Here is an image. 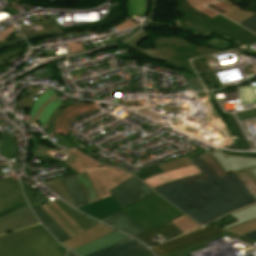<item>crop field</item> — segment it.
<instances>
[{
    "label": "crop field",
    "mask_w": 256,
    "mask_h": 256,
    "mask_svg": "<svg viewBox=\"0 0 256 256\" xmlns=\"http://www.w3.org/2000/svg\"><path fill=\"white\" fill-rule=\"evenodd\" d=\"M203 173L155 188L200 224L256 203L235 173L219 179L200 158L192 161ZM201 181L197 182L196 180Z\"/></svg>",
    "instance_id": "obj_1"
},
{
    "label": "crop field",
    "mask_w": 256,
    "mask_h": 256,
    "mask_svg": "<svg viewBox=\"0 0 256 256\" xmlns=\"http://www.w3.org/2000/svg\"><path fill=\"white\" fill-rule=\"evenodd\" d=\"M125 209L121 212L147 230L136 237L149 246L156 245L151 238L158 234L167 240L184 234L168 222L183 213L157 193Z\"/></svg>",
    "instance_id": "obj_2"
},
{
    "label": "crop field",
    "mask_w": 256,
    "mask_h": 256,
    "mask_svg": "<svg viewBox=\"0 0 256 256\" xmlns=\"http://www.w3.org/2000/svg\"><path fill=\"white\" fill-rule=\"evenodd\" d=\"M66 251L41 224L0 236V256H64Z\"/></svg>",
    "instance_id": "obj_3"
},
{
    "label": "crop field",
    "mask_w": 256,
    "mask_h": 256,
    "mask_svg": "<svg viewBox=\"0 0 256 256\" xmlns=\"http://www.w3.org/2000/svg\"><path fill=\"white\" fill-rule=\"evenodd\" d=\"M67 154L68 160L65 163L79 173L84 171L87 172L100 200L110 196L109 189L117 186V184L132 176L129 173L114 167L102 166L96 168L68 151Z\"/></svg>",
    "instance_id": "obj_4"
},
{
    "label": "crop field",
    "mask_w": 256,
    "mask_h": 256,
    "mask_svg": "<svg viewBox=\"0 0 256 256\" xmlns=\"http://www.w3.org/2000/svg\"><path fill=\"white\" fill-rule=\"evenodd\" d=\"M157 48L166 61V65L180 68L193 73L195 72L188 59L220 52L214 48L194 47L189 43H164L158 44Z\"/></svg>",
    "instance_id": "obj_5"
},
{
    "label": "crop field",
    "mask_w": 256,
    "mask_h": 256,
    "mask_svg": "<svg viewBox=\"0 0 256 256\" xmlns=\"http://www.w3.org/2000/svg\"><path fill=\"white\" fill-rule=\"evenodd\" d=\"M199 28L228 36L245 46L256 43V35L254 33L242 28L221 15L201 24Z\"/></svg>",
    "instance_id": "obj_6"
},
{
    "label": "crop field",
    "mask_w": 256,
    "mask_h": 256,
    "mask_svg": "<svg viewBox=\"0 0 256 256\" xmlns=\"http://www.w3.org/2000/svg\"><path fill=\"white\" fill-rule=\"evenodd\" d=\"M223 232H226V231L219 229L217 227H205L200 230H196L188 234H185L183 236H180L178 238H175L166 243L152 247L150 249L154 251L158 256H163L171 252H174L176 250H179L181 248L192 245L194 243L205 240L207 238L221 234Z\"/></svg>",
    "instance_id": "obj_7"
},
{
    "label": "crop field",
    "mask_w": 256,
    "mask_h": 256,
    "mask_svg": "<svg viewBox=\"0 0 256 256\" xmlns=\"http://www.w3.org/2000/svg\"><path fill=\"white\" fill-rule=\"evenodd\" d=\"M109 191L122 208L156 193L134 176Z\"/></svg>",
    "instance_id": "obj_8"
},
{
    "label": "crop field",
    "mask_w": 256,
    "mask_h": 256,
    "mask_svg": "<svg viewBox=\"0 0 256 256\" xmlns=\"http://www.w3.org/2000/svg\"><path fill=\"white\" fill-rule=\"evenodd\" d=\"M39 223L29 205H25L0 217V234Z\"/></svg>",
    "instance_id": "obj_9"
},
{
    "label": "crop field",
    "mask_w": 256,
    "mask_h": 256,
    "mask_svg": "<svg viewBox=\"0 0 256 256\" xmlns=\"http://www.w3.org/2000/svg\"><path fill=\"white\" fill-rule=\"evenodd\" d=\"M25 201L20 182L15 183L10 177L0 180V212Z\"/></svg>",
    "instance_id": "obj_10"
},
{
    "label": "crop field",
    "mask_w": 256,
    "mask_h": 256,
    "mask_svg": "<svg viewBox=\"0 0 256 256\" xmlns=\"http://www.w3.org/2000/svg\"><path fill=\"white\" fill-rule=\"evenodd\" d=\"M179 12L185 17L179 19L182 27L199 34L210 33L208 31L197 28L202 22L210 19V17L196 11L186 0H177Z\"/></svg>",
    "instance_id": "obj_11"
},
{
    "label": "crop field",
    "mask_w": 256,
    "mask_h": 256,
    "mask_svg": "<svg viewBox=\"0 0 256 256\" xmlns=\"http://www.w3.org/2000/svg\"><path fill=\"white\" fill-rule=\"evenodd\" d=\"M210 154L227 175L241 170L242 168L256 166V158L238 155L232 156L218 150L210 152Z\"/></svg>",
    "instance_id": "obj_12"
},
{
    "label": "crop field",
    "mask_w": 256,
    "mask_h": 256,
    "mask_svg": "<svg viewBox=\"0 0 256 256\" xmlns=\"http://www.w3.org/2000/svg\"><path fill=\"white\" fill-rule=\"evenodd\" d=\"M96 109H98V107L95 103L90 106L79 104L64 109L56 120L55 133L67 134L69 125L75 117Z\"/></svg>",
    "instance_id": "obj_13"
},
{
    "label": "crop field",
    "mask_w": 256,
    "mask_h": 256,
    "mask_svg": "<svg viewBox=\"0 0 256 256\" xmlns=\"http://www.w3.org/2000/svg\"><path fill=\"white\" fill-rule=\"evenodd\" d=\"M144 249V245L129 238L87 256H130Z\"/></svg>",
    "instance_id": "obj_14"
},
{
    "label": "crop field",
    "mask_w": 256,
    "mask_h": 256,
    "mask_svg": "<svg viewBox=\"0 0 256 256\" xmlns=\"http://www.w3.org/2000/svg\"><path fill=\"white\" fill-rule=\"evenodd\" d=\"M100 220L120 211L123 210L110 196L106 199L101 201H97L92 204L85 205L81 208H78Z\"/></svg>",
    "instance_id": "obj_15"
},
{
    "label": "crop field",
    "mask_w": 256,
    "mask_h": 256,
    "mask_svg": "<svg viewBox=\"0 0 256 256\" xmlns=\"http://www.w3.org/2000/svg\"><path fill=\"white\" fill-rule=\"evenodd\" d=\"M113 231L114 230L99 223L94 227L90 228L89 230L71 238L70 240L62 244L73 250Z\"/></svg>",
    "instance_id": "obj_16"
},
{
    "label": "crop field",
    "mask_w": 256,
    "mask_h": 256,
    "mask_svg": "<svg viewBox=\"0 0 256 256\" xmlns=\"http://www.w3.org/2000/svg\"><path fill=\"white\" fill-rule=\"evenodd\" d=\"M201 173V171L195 166H189L177 170L168 171L166 173L157 174L149 179L143 180L152 188L167 183L169 181L184 178L186 176Z\"/></svg>",
    "instance_id": "obj_17"
},
{
    "label": "crop field",
    "mask_w": 256,
    "mask_h": 256,
    "mask_svg": "<svg viewBox=\"0 0 256 256\" xmlns=\"http://www.w3.org/2000/svg\"><path fill=\"white\" fill-rule=\"evenodd\" d=\"M147 35H148L147 33H145L144 31H141L137 36L133 37L130 41L126 42L125 44L130 46L131 48L135 49L136 51L140 52L141 54H143L144 56H146L148 58H152V59L162 61V62H165L166 60L163 59L159 55V53L156 49V44L164 43V42H187L183 39H178V38H174V37H161L154 41L155 50L136 47L140 41H142L143 39H145L147 37Z\"/></svg>",
    "instance_id": "obj_18"
},
{
    "label": "crop field",
    "mask_w": 256,
    "mask_h": 256,
    "mask_svg": "<svg viewBox=\"0 0 256 256\" xmlns=\"http://www.w3.org/2000/svg\"><path fill=\"white\" fill-rule=\"evenodd\" d=\"M127 238L129 237L115 231L107 236H104L96 241H93L73 251L79 256H84Z\"/></svg>",
    "instance_id": "obj_19"
},
{
    "label": "crop field",
    "mask_w": 256,
    "mask_h": 256,
    "mask_svg": "<svg viewBox=\"0 0 256 256\" xmlns=\"http://www.w3.org/2000/svg\"><path fill=\"white\" fill-rule=\"evenodd\" d=\"M102 222L122 230L132 236L145 231L121 212L103 220Z\"/></svg>",
    "instance_id": "obj_20"
},
{
    "label": "crop field",
    "mask_w": 256,
    "mask_h": 256,
    "mask_svg": "<svg viewBox=\"0 0 256 256\" xmlns=\"http://www.w3.org/2000/svg\"><path fill=\"white\" fill-rule=\"evenodd\" d=\"M39 221L54 235L61 243L69 239L68 235L50 218V216L39 206L33 209Z\"/></svg>",
    "instance_id": "obj_21"
},
{
    "label": "crop field",
    "mask_w": 256,
    "mask_h": 256,
    "mask_svg": "<svg viewBox=\"0 0 256 256\" xmlns=\"http://www.w3.org/2000/svg\"><path fill=\"white\" fill-rule=\"evenodd\" d=\"M120 15H121L120 7L112 6L108 15L100 21H96V22L88 23V24L70 26V27H63L62 29L65 32V31L71 30L73 28H89V29L103 28V27H106V26L112 24L113 22L119 20Z\"/></svg>",
    "instance_id": "obj_22"
},
{
    "label": "crop field",
    "mask_w": 256,
    "mask_h": 256,
    "mask_svg": "<svg viewBox=\"0 0 256 256\" xmlns=\"http://www.w3.org/2000/svg\"><path fill=\"white\" fill-rule=\"evenodd\" d=\"M62 180L77 207L88 203L74 175L63 177Z\"/></svg>",
    "instance_id": "obj_23"
},
{
    "label": "crop field",
    "mask_w": 256,
    "mask_h": 256,
    "mask_svg": "<svg viewBox=\"0 0 256 256\" xmlns=\"http://www.w3.org/2000/svg\"><path fill=\"white\" fill-rule=\"evenodd\" d=\"M55 202L85 231L94 226L98 222L91 220L90 218L79 214L74 209L57 199Z\"/></svg>",
    "instance_id": "obj_24"
},
{
    "label": "crop field",
    "mask_w": 256,
    "mask_h": 256,
    "mask_svg": "<svg viewBox=\"0 0 256 256\" xmlns=\"http://www.w3.org/2000/svg\"><path fill=\"white\" fill-rule=\"evenodd\" d=\"M230 215L237 221L222 227L223 229H227L241 223L256 219V204L237 210Z\"/></svg>",
    "instance_id": "obj_25"
},
{
    "label": "crop field",
    "mask_w": 256,
    "mask_h": 256,
    "mask_svg": "<svg viewBox=\"0 0 256 256\" xmlns=\"http://www.w3.org/2000/svg\"><path fill=\"white\" fill-rule=\"evenodd\" d=\"M222 2H224L225 4L232 7L231 9H229L228 11H226L222 14L227 16L228 18L232 19L233 21H235L237 23H239V22L247 19L248 17L256 14L254 12H250V11H246V10H242V9L238 8L236 5H234L229 0H224Z\"/></svg>",
    "instance_id": "obj_26"
},
{
    "label": "crop field",
    "mask_w": 256,
    "mask_h": 256,
    "mask_svg": "<svg viewBox=\"0 0 256 256\" xmlns=\"http://www.w3.org/2000/svg\"><path fill=\"white\" fill-rule=\"evenodd\" d=\"M75 176H76L88 202L92 203V202L99 200L86 173L84 172L81 174H76Z\"/></svg>",
    "instance_id": "obj_27"
},
{
    "label": "crop field",
    "mask_w": 256,
    "mask_h": 256,
    "mask_svg": "<svg viewBox=\"0 0 256 256\" xmlns=\"http://www.w3.org/2000/svg\"><path fill=\"white\" fill-rule=\"evenodd\" d=\"M0 138L3 144L1 156L7 159L16 158L18 145L14 138H10L7 135H2Z\"/></svg>",
    "instance_id": "obj_28"
},
{
    "label": "crop field",
    "mask_w": 256,
    "mask_h": 256,
    "mask_svg": "<svg viewBox=\"0 0 256 256\" xmlns=\"http://www.w3.org/2000/svg\"><path fill=\"white\" fill-rule=\"evenodd\" d=\"M44 145V144H43ZM41 145L37 140H34L33 141V144H32V150H31V157L32 158H35V157H40V156H49L51 158L54 157L55 153L58 152V153H61L63 155H66L65 152H62L60 149L61 147L57 146V148L60 150H56V149H49L45 146ZM55 159V158H54ZM63 162V161H62Z\"/></svg>",
    "instance_id": "obj_29"
},
{
    "label": "crop field",
    "mask_w": 256,
    "mask_h": 256,
    "mask_svg": "<svg viewBox=\"0 0 256 256\" xmlns=\"http://www.w3.org/2000/svg\"><path fill=\"white\" fill-rule=\"evenodd\" d=\"M174 226H176L178 229L183 231L184 233L194 230L196 228H200L202 226L198 225L195 221L188 218L185 214L169 221Z\"/></svg>",
    "instance_id": "obj_30"
},
{
    "label": "crop field",
    "mask_w": 256,
    "mask_h": 256,
    "mask_svg": "<svg viewBox=\"0 0 256 256\" xmlns=\"http://www.w3.org/2000/svg\"><path fill=\"white\" fill-rule=\"evenodd\" d=\"M45 184L54 192H56L58 195H60L62 198H64L67 202L71 203L76 207L74 201L72 200L70 194L68 193L66 187L63 185L60 178L48 181Z\"/></svg>",
    "instance_id": "obj_31"
},
{
    "label": "crop field",
    "mask_w": 256,
    "mask_h": 256,
    "mask_svg": "<svg viewBox=\"0 0 256 256\" xmlns=\"http://www.w3.org/2000/svg\"><path fill=\"white\" fill-rule=\"evenodd\" d=\"M54 94L55 90L48 88L40 97L37 98L36 102L32 105L29 116H31L35 120L38 109Z\"/></svg>",
    "instance_id": "obj_32"
},
{
    "label": "crop field",
    "mask_w": 256,
    "mask_h": 256,
    "mask_svg": "<svg viewBox=\"0 0 256 256\" xmlns=\"http://www.w3.org/2000/svg\"><path fill=\"white\" fill-rule=\"evenodd\" d=\"M229 234H231V233L226 232L224 234H221V235H218L216 237L210 238L208 240L202 241L200 243L194 244V245H192V247L189 246L187 248H184L182 250L176 251V252L171 253V254L166 255V256H187V252H189V251H193V250H197V249H200V248H204L205 247L204 243L212 241V240H215L217 238H220V237H223V236H226V235H229Z\"/></svg>",
    "instance_id": "obj_33"
},
{
    "label": "crop field",
    "mask_w": 256,
    "mask_h": 256,
    "mask_svg": "<svg viewBox=\"0 0 256 256\" xmlns=\"http://www.w3.org/2000/svg\"><path fill=\"white\" fill-rule=\"evenodd\" d=\"M61 103L59 102V100L56 98L54 99L52 102H50L45 109L41 112L40 114V125L42 127L45 128V130L48 132L47 130V120L50 116V114L52 113V111L57 108Z\"/></svg>",
    "instance_id": "obj_34"
},
{
    "label": "crop field",
    "mask_w": 256,
    "mask_h": 256,
    "mask_svg": "<svg viewBox=\"0 0 256 256\" xmlns=\"http://www.w3.org/2000/svg\"><path fill=\"white\" fill-rule=\"evenodd\" d=\"M188 165H192V163L188 158L183 157V158L169 161L167 163L159 164L158 166L163 170V172H166L168 170H172V169H176V168H180Z\"/></svg>",
    "instance_id": "obj_35"
},
{
    "label": "crop field",
    "mask_w": 256,
    "mask_h": 256,
    "mask_svg": "<svg viewBox=\"0 0 256 256\" xmlns=\"http://www.w3.org/2000/svg\"><path fill=\"white\" fill-rule=\"evenodd\" d=\"M195 9L209 15L211 18L218 15L216 12L206 8L202 7L208 3L215 2L217 0H187Z\"/></svg>",
    "instance_id": "obj_36"
},
{
    "label": "crop field",
    "mask_w": 256,
    "mask_h": 256,
    "mask_svg": "<svg viewBox=\"0 0 256 256\" xmlns=\"http://www.w3.org/2000/svg\"><path fill=\"white\" fill-rule=\"evenodd\" d=\"M227 230L237 235H241V234L256 230V220L241 224L239 226H236Z\"/></svg>",
    "instance_id": "obj_37"
},
{
    "label": "crop field",
    "mask_w": 256,
    "mask_h": 256,
    "mask_svg": "<svg viewBox=\"0 0 256 256\" xmlns=\"http://www.w3.org/2000/svg\"><path fill=\"white\" fill-rule=\"evenodd\" d=\"M236 174L240 178V180L244 183V185L247 187V189L250 191L251 194L256 193V184L251 179V177L246 173L245 170L236 172Z\"/></svg>",
    "instance_id": "obj_38"
},
{
    "label": "crop field",
    "mask_w": 256,
    "mask_h": 256,
    "mask_svg": "<svg viewBox=\"0 0 256 256\" xmlns=\"http://www.w3.org/2000/svg\"><path fill=\"white\" fill-rule=\"evenodd\" d=\"M40 88L41 86H35L29 94L25 93L24 95H22L21 99L18 101V108L30 107L31 104L34 102L32 97Z\"/></svg>",
    "instance_id": "obj_39"
},
{
    "label": "crop field",
    "mask_w": 256,
    "mask_h": 256,
    "mask_svg": "<svg viewBox=\"0 0 256 256\" xmlns=\"http://www.w3.org/2000/svg\"><path fill=\"white\" fill-rule=\"evenodd\" d=\"M209 167L211 166L213 171L217 174L219 178L226 176L223 170L219 167L217 162L210 156V154H206L200 157Z\"/></svg>",
    "instance_id": "obj_40"
},
{
    "label": "crop field",
    "mask_w": 256,
    "mask_h": 256,
    "mask_svg": "<svg viewBox=\"0 0 256 256\" xmlns=\"http://www.w3.org/2000/svg\"><path fill=\"white\" fill-rule=\"evenodd\" d=\"M41 207L51 216V218L71 237L75 236L68 227L45 205Z\"/></svg>",
    "instance_id": "obj_41"
},
{
    "label": "crop field",
    "mask_w": 256,
    "mask_h": 256,
    "mask_svg": "<svg viewBox=\"0 0 256 256\" xmlns=\"http://www.w3.org/2000/svg\"><path fill=\"white\" fill-rule=\"evenodd\" d=\"M161 172H162L161 169L158 166H156L154 168L142 171V172L136 174V176L138 178H140L141 180H143V179L149 178V177H151L157 173H161Z\"/></svg>",
    "instance_id": "obj_42"
},
{
    "label": "crop field",
    "mask_w": 256,
    "mask_h": 256,
    "mask_svg": "<svg viewBox=\"0 0 256 256\" xmlns=\"http://www.w3.org/2000/svg\"><path fill=\"white\" fill-rule=\"evenodd\" d=\"M190 88L192 91H203L204 88L197 76H192L190 79L187 80Z\"/></svg>",
    "instance_id": "obj_43"
},
{
    "label": "crop field",
    "mask_w": 256,
    "mask_h": 256,
    "mask_svg": "<svg viewBox=\"0 0 256 256\" xmlns=\"http://www.w3.org/2000/svg\"><path fill=\"white\" fill-rule=\"evenodd\" d=\"M61 111H62V109L57 108L51 114V116H50V118L48 120V130H49V133H54V122H55L56 118L58 117V115L60 114ZM49 133H47L46 135L50 136Z\"/></svg>",
    "instance_id": "obj_44"
},
{
    "label": "crop field",
    "mask_w": 256,
    "mask_h": 256,
    "mask_svg": "<svg viewBox=\"0 0 256 256\" xmlns=\"http://www.w3.org/2000/svg\"><path fill=\"white\" fill-rule=\"evenodd\" d=\"M51 203L54 208L66 219L68 220L79 232H83V230L54 202Z\"/></svg>",
    "instance_id": "obj_45"
},
{
    "label": "crop field",
    "mask_w": 256,
    "mask_h": 256,
    "mask_svg": "<svg viewBox=\"0 0 256 256\" xmlns=\"http://www.w3.org/2000/svg\"><path fill=\"white\" fill-rule=\"evenodd\" d=\"M240 24L256 33V15L248 18Z\"/></svg>",
    "instance_id": "obj_46"
},
{
    "label": "crop field",
    "mask_w": 256,
    "mask_h": 256,
    "mask_svg": "<svg viewBox=\"0 0 256 256\" xmlns=\"http://www.w3.org/2000/svg\"><path fill=\"white\" fill-rule=\"evenodd\" d=\"M19 50H20V48H18V49H16V50H13V51H9V52H7V53H5V54L0 55V65L6 64L5 61H6L8 58L17 56V54L19 53Z\"/></svg>",
    "instance_id": "obj_47"
},
{
    "label": "crop field",
    "mask_w": 256,
    "mask_h": 256,
    "mask_svg": "<svg viewBox=\"0 0 256 256\" xmlns=\"http://www.w3.org/2000/svg\"><path fill=\"white\" fill-rule=\"evenodd\" d=\"M68 227L69 229L76 235L79 232L69 223L67 222L54 208L51 204H46Z\"/></svg>",
    "instance_id": "obj_48"
},
{
    "label": "crop field",
    "mask_w": 256,
    "mask_h": 256,
    "mask_svg": "<svg viewBox=\"0 0 256 256\" xmlns=\"http://www.w3.org/2000/svg\"><path fill=\"white\" fill-rule=\"evenodd\" d=\"M56 138L60 141V143L67 148H74L75 146L68 140L66 135H60V134H55Z\"/></svg>",
    "instance_id": "obj_49"
},
{
    "label": "crop field",
    "mask_w": 256,
    "mask_h": 256,
    "mask_svg": "<svg viewBox=\"0 0 256 256\" xmlns=\"http://www.w3.org/2000/svg\"><path fill=\"white\" fill-rule=\"evenodd\" d=\"M69 151L73 152L74 154L78 155L79 157L83 158L84 160H86L87 162L91 163L92 165H94L96 167L101 165V164L93 161L92 159H90L88 156H86L85 154H83L82 152H80L77 149H72V150H69Z\"/></svg>",
    "instance_id": "obj_50"
},
{
    "label": "crop field",
    "mask_w": 256,
    "mask_h": 256,
    "mask_svg": "<svg viewBox=\"0 0 256 256\" xmlns=\"http://www.w3.org/2000/svg\"><path fill=\"white\" fill-rule=\"evenodd\" d=\"M136 25H138V24H136V23H134L133 21H131V20H129V19L126 18L123 23H121V24H119V25H117V26H115V27H116L117 31H119V30H121V29L130 28L131 26L134 27V26H136Z\"/></svg>",
    "instance_id": "obj_51"
},
{
    "label": "crop field",
    "mask_w": 256,
    "mask_h": 256,
    "mask_svg": "<svg viewBox=\"0 0 256 256\" xmlns=\"http://www.w3.org/2000/svg\"><path fill=\"white\" fill-rule=\"evenodd\" d=\"M66 45H67V47H68L70 53L78 52V51L84 50L81 44L76 45L75 42L68 43V44H66Z\"/></svg>",
    "instance_id": "obj_52"
},
{
    "label": "crop field",
    "mask_w": 256,
    "mask_h": 256,
    "mask_svg": "<svg viewBox=\"0 0 256 256\" xmlns=\"http://www.w3.org/2000/svg\"><path fill=\"white\" fill-rule=\"evenodd\" d=\"M247 173L252 177V179L256 182V167L245 169Z\"/></svg>",
    "instance_id": "obj_53"
},
{
    "label": "crop field",
    "mask_w": 256,
    "mask_h": 256,
    "mask_svg": "<svg viewBox=\"0 0 256 256\" xmlns=\"http://www.w3.org/2000/svg\"><path fill=\"white\" fill-rule=\"evenodd\" d=\"M213 5H215V6L219 7V8H221V9H223V10H225V11L228 10L229 8H231V7L225 5L224 3L220 2V1L214 3Z\"/></svg>",
    "instance_id": "obj_54"
},
{
    "label": "crop field",
    "mask_w": 256,
    "mask_h": 256,
    "mask_svg": "<svg viewBox=\"0 0 256 256\" xmlns=\"http://www.w3.org/2000/svg\"><path fill=\"white\" fill-rule=\"evenodd\" d=\"M241 236L246 237V238H250V239H253V240H256V231H253V232L241 235Z\"/></svg>",
    "instance_id": "obj_55"
},
{
    "label": "crop field",
    "mask_w": 256,
    "mask_h": 256,
    "mask_svg": "<svg viewBox=\"0 0 256 256\" xmlns=\"http://www.w3.org/2000/svg\"><path fill=\"white\" fill-rule=\"evenodd\" d=\"M133 256H153V255L149 252L148 249H146V250H144L142 252H139V253H137V254H135Z\"/></svg>",
    "instance_id": "obj_56"
},
{
    "label": "crop field",
    "mask_w": 256,
    "mask_h": 256,
    "mask_svg": "<svg viewBox=\"0 0 256 256\" xmlns=\"http://www.w3.org/2000/svg\"><path fill=\"white\" fill-rule=\"evenodd\" d=\"M54 98H56V94H55L50 100H48L47 102H45V103L42 105V107L39 109V112H38L36 121H38L40 112H41V111L44 109V107H45L50 101H52Z\"/></svg>",
    "instance_id": "obj_57"
},
{
    "label": "crop field",
    "mask_w": 256,
    "mask_h": 256,
    "mask_svg": "<svg viewBox=\"0 0 256 256\" xmlns=\"http://www.w3.org/2000/svg\"><path fill=\"white\" fill-rule=\"evenodd\" d=\"M19 40H20V38H15V39H11V40L6 41V42H2V43H0V47L6 46L7 44H11V43L19 41Z\"/></svg>",
    "instance_id": "obj_58"
},
{
    "label": "crop field",
    "mask_w": 256,
    "mask_h": 256,
    "mask_svg": "<svg viewBox=\"0 0 256 256\" xmlns=\"http://www.w3.org/2000/svg\"><path fill=\"white\" fill-rule=\"evenodd\" d=\"M14 31V29H10L9 31H7L4 35H2L1 37H0V42L1 41H3L4 40V38L6 37V36H8L10 33H12ZM7 38V37H6Z\"/></svg>",
    "instance_id": "obj_59"
},
{
    "label": "crop field",
    "mask_w": 256,
    "mask_h": 256,
    "mask_svg": "<svg viewBox=\"0 0 256 256\" xmlns=\"http://www.w3.org/2000/svg\"><path fill=\"white\" fill-rule=\"evenodd\" d=\"M25 204H27V202H25V203H23V204H20V205H18V206H16V207H14V208H12V209L6 211V212L1 213L0 216L3 215V214H5V213H7V212H10V211H12V210L18 208V207H21V206H23V205H25Z\"/></svg>",
    "instance_id": "obj_60"
},
{
    "label": "crop field",
    "mask_w": 256,
    "mask_h": 256,
    "mask_svg": "<svg viewBox=\"0 0 256 256\" xmlns=\"http://www.w3.org/2000/svg\"><path fill=\"white\" fill-rule=\"evenodd\" d=\"M208 6L211 7L212 9H214V10L220 12V13L224 12L223 10H221V9H219V8H217V7L213 6V5H211V4H209Z\"/></svg>",
    "instance_id": "obj_61"
},
{
    "label": "crop field",
    "mask_w": 256,
    "mask_h": 256,
    "mask_svg": "<svg viewBox=\"0 0 256 256\" xmlns=\"http://www.w3.org/2000/svg\"><path fill=\"white\" fill-rule=\"evenodd\" d=\"M67 256H77V255L69 251Z\"/></svg>",
    "instance_id": "obj_62"
},
{
    "label": "crop field",
    "mask_w": 256,
    "mask_h": 256,
    "mask_svg": "<svg viewBox=\"0 0 256 256\" xmlns=\"http://www.w3.org/2000/svg\"><path fill=\"white\" fill-rule=\"evenodd\" d=\"M9 29H10V28H9ZM9 29H7V30H9ZM7 30H6V31H7ZM6 31L2 32V33L0 34V36H1L3 33H5Z\"/></svg>",
    "instance_id": "obj_63"
},
{
    "label": "crop field",
    "mask_w": 256,
    "mask_h": 256,
    "mask_svg": "<svg viewBox=\"0 0 256 256\" xmlns=\"http://www.w3.org/2000/svg\"><path fill=\"white\" fill-rule=\"evenodd\" d=\"M253 196H254V198L256 199V194H254Z\"/></svg>",
    "instance_id": "obj_64"
},
{
    "label": "crop field",
    "mask_w": 256,
    "mask_h": 256,
    "mask_svg": "<svg viewBox=\"0 0 256 256\" xmlns=\"http://www.w3.org/2000/svg\"><path fill=\"white\" fill-rule=\"evenodd\" d=\"M5 41V40H4Z\"/></svg>",
    "instance_id": "obj_65"
}]
</instances>
